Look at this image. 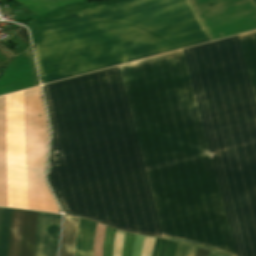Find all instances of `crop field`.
<instances>
[{"label":"crop field","mask_w":256,"mask_h":256,"mask_svg":"<svg viewBox=\"0 0 256 256\" xmlns=\"http://www.w3.org/2000/svg\"><path fill=\"white\" fill-rule=\"evenodd\" d=\"M80 218L64 216L59 256H74L77 227ZM96 223L81 219L75 256H93Z\"/></svg>","instance_id":"obj_1"},{"label":"crop field","mask_w":256,"mask_h":256,"mask_svg":"<svg viewBox=\"0 0 256 256\" xmlns=\"http://www.w3.org/2000/svg\"><path fill=\"white\" fill-rule=\"evenodd\" d=\"M36 217L37 213L25 211L20 256L34 254Z\"/></svg>","instance_id":"obj_2"},{"label":"crop field","mask_w":256,"mask_h":256,"mask_svg":"<svg viewBox=\"0 0 256 256\" xmlns=\"http://www.w3.org/2000/svg\"><path fill=\"white\" fill-rule=\"evenodd\" d=\"M50 218L51 215L38 213L34 256L47 254Z\"/></svg>","instance_id":"obj_3"},{"label":"crop field","mask_w":256,"mask_h":256,"mask_svg":"<svg viewBox=\"0 0 256 256\" xmlns=\"http://www.w3.org/2000/svg\"><path fill=\"white\" fill-rule=\"evenodd\" d=\"M24 211L13 209L7 256L20 255L21 229Z\"/></svg>","instance_id":"obj_4"},{"label":"crop field","mask_w":256,"mask_h":256,"mask_svg":"<svg viewBox=\"0 0 256 256\" xmlns=\"http://www.w3.org/2000/svg\"><path fill=\"white\" fill-rule=\"evenodd\" d=\"M12 209L3 208L0 228V256H6Z\"/></svg>","instance_id":"obj_5"},{"label":"crop field","mask_w":256,"mask_h":256,"mask_svg":"<svg viewBox=\"0 0 256 256\" xmlns=\"http://www.w3.org/2000/svg\"><path fill=\"white\" fill-rule=\"evenodd\" d=\"M61 216L52 215L51 228H50V239L47 256H55L56 248L59 236V225Z\"/></svg>","instance_id":"obj_6"},{"label":"crop field","mask_w":256,"mask_h":256,"mask_svg":"<svg viewBox=\"0 0 256 256\" xmlns=\"http://www.w3.org/2000/svg\"><path fill=\"white\" fill-rule=\"evenodd\" d=\"M114 233V229L107 227L103 256H112Z\"/></svg>","instance_id":"obj_7"},{"label":"crop field","mask_w":256,"mask_h":256,"mask_svg":"<svg viewBox=\"0 0 256 256\" xmlns=\"http://www.w3.org/2000/svg\"><path fill=\"white\" fill-rule=\"evenodd\" d=\"M196 247L179 243L174 256H194Z\"/></svg>","instance_id":"obj_8"},{"label":"crop field","mask_w":256,"mask_h":256,"mask_svg":"<svg viewBox=\"0 0 256 256\" xmlns=\"http://www.w3.org/2000/svg\"><path fill=\"white\" fill-rule=\"evenodd\" d=\"M124 233L116 231L113 256H121Z\"/></svg>","instance_id":"obj_9"},{"label":"crop field","mask_w":256,"mask_h":256,"mask_svg":"<svg viewBox=\"0 0 256 256\" xmlns=\"http://www.w3.org/2000/svg\"><path fill=\"white\" fill-rule=\"evenodd\" d=\"M156 239L147 238L144 239L142 256H152L153 246Z\"/></svg>","instance_id":"obj_10"},{"label":"crop field","mask_w":256,"mask_h":256,"mask_svg":"<svg viewBox=\"0 0 256 256\" xmlns=\"http://www.w3.org/2000/svg\"><path fill=\"white\" fill-rule=\"evenodd\" d=\"M133 238H134V235L126 233L122 256H130L131 255Z\"/></svg>","instance_id":"obj_11"},{"label":"crop field","mask_w":256,"mask_h":256,"mask_svg":"<svg viewBox=\"0 0 256 256\" xmlns=\"http://www.w3.org/2000/svg\"><path fill=\"white\" fill-rule=\"evenodd\" d=\"M144 237L135 235L132 256H141Z\"/></svg>","instance_id":"obj_12"},{"label":"crop field","mask_w":256,"mask_h":256,"mask_svg":"<svg viewBox=\"0 0 256 256\" xmlns=\"http://www.w3.org/2000/svg\"><path fill=\"white\" fill-rule=\"evenodd\" d=\"M165 240L157 239L154 246L153 256H163Z\"/></svg>","instance_id":"obj_13"},{"label":"crop field","mask_w":256,"mask_h":256,"mask_svg":"<svg viewBox=\"0 0 256 256\" xmlns=\"http://www.w3.org/2000/svg\"><path fill=\"white\" fill-rule=\"evenodd\" d=\"M178 243L167 241L164 256H173Z\"/></svg>","instance_id":"obj_14"},{"label":"crop field","mask_w":256,"mask_h":256,"mask_svg":"<svg viewBox=\"0 0 256 256\" xmlns=\"http://www.w3.org/2000/svg\"><path fill=\"white\" fill-rule=\"evenodd\" d=\"M209 253L208 250H205V249H202V248H199L197 249V252H196V256H207Z\"/></svg>","instance_id":"obj_15"},{"label":"crop field","mask_w":256,"mask_h":256,"mask_svg":"<svg viewBox=\"0 0 256 256\" xmlns=\"http://www.w3.org/2000/svg\"><path fill=\"white\" fill-rule=\"evenodd\" d=\"M209 256H220V255L215 254V253H213V252H210Z\"/></svg>","instance_id":"obj_16"}]
</instances>
